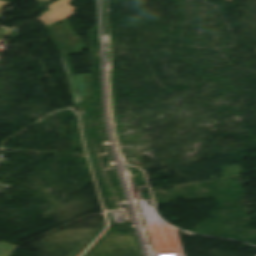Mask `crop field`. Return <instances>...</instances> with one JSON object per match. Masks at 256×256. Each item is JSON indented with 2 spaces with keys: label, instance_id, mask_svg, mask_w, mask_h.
<instances>
[{
  "label": "crop field",
  "instance_id": "crop-field-7",
  "mask_svg": "<svg viewBox=\"0 0 256 256\" xmlns=\"http://www.w3.org/2000/svg\"><path fill=\"white\" fill-rule=\"evenodd\" d=\"M38 1H45V2H47V1H49V0H38Z\"/></svg>",
  "mask_w": 256,
  "mask_h": 256
},
{
  "label": "crop field",
  "instance_id": "crop-field-9",
  "mask_svg": "<svg viewBox=\"0 0 256 256\" xmlns=\"http://www.w3.org/2000/svg\"><path fill=\"white\" fill-rule=\"evenodd\" d=\"M0 256H2V255H0Z\"/></svg>",
  "mask_w": 256,
  "mask_h": 256
},
{
  "label": "crop field",
  "instance_id": "crop-field-2",
  "mask_svg": "<svg viewBox=\"0 0 256 256\" xmlns=\"http://www.w3.org/2000/svg\"><path fill=\"white\" fill-rule=\"evenodd\" d=\"M70 3L71 0H58L50 4L48 7L51 10L44 13L41 18H38V20H40L42 23L48 26L54 22H58L75 14L72 11L76 8L70 6Z\"/></svg>",
  "mask_w": 256,
  "mask_h": 256
},
{
  "label": "crop field",
  "instance_id": "crop-field-4",
  "mask_svg": "<svg viewBox=\"0 0 256 256\" xmlns=\"http://www.w3.org/2000/svg\"><path fill=\"white\" fill-rule=\"evenodd\" d=\"M6 36H8V37L14 39V38H17V37H19V36H21V35H19V34H17V33H15V32H13V31L10 30L9 34L6 35Z\"/></svg>",
  "mask_w": 256,
  "mask_h": 256
},
{
  "label": "crop field",
  "instance_id": "crop-field-5",
  "mask_svg": "<svg viewBox=\"0 0 256 256\" xmlns=\"http://www.w3.org/2000/svg\"><path fill=\"white\" fill-rule=\"evenodd\" d=\"M7 32V29H4L2 27H0V40L2 38V36Z\"/></svg>",
  "mask_w": 256,
  "mask_h": 256
},
{
  "label": "crop field",
  "instance_id": "crop-field-6",
  "mask_svg": "<svg viewBox=\"0 0 256 256\" xmlns=\"http://www.w3.org/2000/svg\"><path fill=\"white\" fill-rule=\"evenodd\" d=\"M10 4H6V3H2L0 2V10L6 8L7 6H9Z\"/></svg>",
  "mask_w": 256,
  "mask_h": 256
},
{
  "label": "crop field",
  "instance_id": "crop-field-3",
  "mask_svg": "<svg viewBox=\"0 0 256 256\" xmlns=\"http://www.w3.org/2000/svg\"><path fill=\"white\" fill-rule=\"evenodd\" d=\"M83 100L92 96L91 74L72 75Z\"/></svg>",
  "mask_w": 256,
  "mask_h": 256
},
{
  "label": "crop field",
  "instance_id": "crop-field-1",
  "mask_svg": "<svg viewBox=\"0 0 256 256\" xmlns=\"http://www.w3.org/2000/svg\"><path fill=\"white\" fill-rule=\"evenodd\" d=\"M63 25L47 27L62 55L84 52L85 46L80 36H75L67 19L63 20ZM64 44L59 46V44Z\"/></svg>",
  "mask_w": 256,
  "mask_h": 256
},
{
  "label": "crop field",
  "instance_id": "crop-field-8",
  "mask_svg": "<svg viewBox=\"0 0 256 256\" xmlns=\"http://www.w3.org/2000/svg\"><path fill=\"white\" fill-rule=\"evenodd\" d=\"M0 59H1V56H0Z\"/></svg>",
  "mask_w": 256,
  "mask_h": 256
}]
</instances>
